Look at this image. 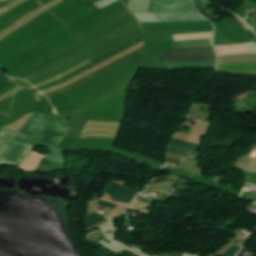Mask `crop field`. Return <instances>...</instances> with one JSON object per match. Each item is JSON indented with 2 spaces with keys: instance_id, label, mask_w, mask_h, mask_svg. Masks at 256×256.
I'll return each mask as SVG.
<instances>
[{
  "instance_id": "crop-field-16",
  "label": "crop field",
  "mask_w": 256,
  "mask_h": 256,
  "mask_svg": "<svg viewBox=\"0 0 256 256\" xmlns=\"http://www.w3.org/2000/svg\"><path fill=\"white\" fill-rule=\"evenodd\" d=\"M8 78L0 74V83L4 82Z\"/></svg>"
},
{
  "instance_id": "crop-field-2",
  "label": "crop field",
  "mask_w": 256,
  "mask_h": 256,
  "mask_svg": "<svg viewBox=\"0 0 256 256\" xmlns=\"http://www.w3.org/2000/svg\"><path fill=\"white\" fill-rule=\"evenodd\" d=\"M17 132L3 127L0 129V165L21 167L35 149L34 146L11 141Z\"/></svg>"
},
{
  "instance_id": "crop-field-14",
  "label": "crop field",
  "mask_w": 256,
  "mask_h": 256,
  "mask_svg": "<svg viewBox=\"0 0 256 256\" xmlns=\"http://www.w3.org/2000/svg\"><path fill=\"white\" fill-rule=\"evenodd\" d=\"M12 82H14V81L10 78V79H8L7 81H5L4 83H2V84L0 85V91H1L2 89L6 88L8 85H10Z\"/></svg>"
},
{
  "instance_id": "crop-field-6",
  "label": "crop field",
  "mask_w": 256,
  "mask_h": 256,
  "mask_svg": "<svg viewBox=\"0 0 256 256\" xmlns=\"http://www.w3.org/2000/svg\"><path fill=\"white\" fill-rule=\"evenodd\" d=\"M160 21H207L200 14H157Z\"/></svg>"
},
{
  "instance_id": "crop-field-4",
  "label": "crop field",
  "mask_w": 256,
  "mask_h": 256,
  "mask_svg": "<svg viewBox=\"0 0 256 256\" xmlns=\"http://www.w3.org/2000/svg\"><path fill=\"white\" fill-rule=\"evenodd\" d=\"M148 12L198 13L189 0H152Z\"/></svg>"
},
{
  "instance_id": "crop-field-11",
  "label": "crop field",
  "mask_w": 256,
  "mask_h": 256,
  "mask_svg": "<svg viewBox=\"0 0 256 256\" xmlns=\"http://www.w3.org/2000/svg\"><path fill=\"white\" fill-rule=\"evenodd\" d=\"M238 167L250 171L255 172L256 171V160L242 157L240 163L238 164Z\"/></svg>"
},
{
  "instance_id": "crop-field-7",
  "label": "crop field",
  "mask_w": 256,
  "mask_h": 256,
  "mask_svg": "<svg viewBox=\"0 0 256 256\" xmlns=\"http://www.w3.org/2000/svg\"><path fill=\"white\" fill-rule=\"evenodd\" d=\"M217 28L223 29L226 32L234 35V36H240L243 38H246L248 40H251L250 37L247 35V33L243 30L241 26L233 27L229 18L215 23ZM252 41V40H251Z\"/></svg>"
},
{
  "instance_id": "crop-field-15",
  "label": "crop field",
  "mask_w": 256,
  "mask_h": 256,
  "mask_svg": "<svg viewBox=\"0 0 256 256\" xmlns=\"http://www.w3.org/2000/svg\"><path fill=\"white\" fill-rule=\"evenodd\" d=\"M99 205H103V206H106V207H109V208H115V204H111V203H108V202H105V201H99V203H98Z\"/></svg>"
},
{
  "instance_id": "crop-field-1",
  "label": "crop field",
  "mask_w": 256,
  "mask_h": 256,
  "mask_svg": "<svg viewBox=\"0 0 256 256\" xmlns=\"http://www.w3.org/2000/svg\"><path fill=\"white\" fill-rule=\"evenodd\" d=\"M66 133V123L59 115L37 112L13 140L24 144L45 146L50 153L44 159L65 162L64 155L58 146Z\"/></svg>"
},
{
  "instance_id": "crop-field-10",
  "label": "crop field",
  "mask_w": 256,
  "mask_h": 256,
  "mask_svg": "<svg viewBox=\"0 0 256 256\" xmlns=\"http://www.w3.org/2000/svg\"><path fill=\"white\" fill-rule=\"evenodd\" d=\"M212 45V39L174 42V48Z\"/></svg>"
},
{
  "instance_id": "crop-field-8",
  "label": "crop field",
  "mask_w": 256,
  "mask_h": 256,
  "mask_svg": "<svg viewBox=\"0 0 256 256\" xmlns=\"http://www.w3.org/2000/svg\"><path fill=\"white\" fill-rule=\"evenodd\" d=\"M243 43H249V42L240 38L232 37L227 33L216 29L215 45H234V44H243Z\"/></svg>"
},
{
  "instance_id": "crop-field-5",
  "label": "crop field",
  "mask_w": 256,
  "mask_h": 256,
  "mask_svg": "<svg viewBox=\"0 0 256 256\" xmlns=\"http://www.w3.org/2000/svg\"><path fill=\"white\" fill-rule=\"evenodd\" d=\"M105 193L113 194L114 200L122 201L129 203L130 200L135 196L137 191L132 189L126 188L124 186L118 185L110 181L106 189L104 190Z\"/></svg>"
},
{
  "instance_id": "crop-field-9",
  "label": "crop field",
  "mask_w": 256,
  "mask_h": 256,
  "mask_svg": "<svg viewBox=\"0 0 256 256\" xmlns=\"http://www.w3.org/2000/svg\"><path fill=\"white\" fill-rule=\"evenodd\" d=\"M184 149L194 151L200 149V145L185 142L179 139H173L168 152L182 155Z\"/></svg>"
},
{
  "instance_id": "crop-field-3",
  "label": "crop field",
  "mask_w": 256,
  "mask_h": 256,
  "mask_svg": "<svg viewBox=\"0 0 256 256\" xmlns=\"http://www.w3.org/2000/svg\"><path fill=\"white\" fill-rule=\"evenodd\" d=\"M167 58L157 59L158 62L188 61V60H215L212 47L197 49H175L166 52Z\"/></svg>"
},
{
  "instance_id": "crop-field-17",
  "label": "crop field",
  "mask_w": 256,
  "mask_h": 256,
  "mask_svg": "<svg viewBox=\"0 0 256 256\" xmlns=\"http://www.w3.org/2000/svg\"><path fill=\"white\" fill-rule=\"evenodd\" d=\"M8 116L0 114V121L4 120L5 118H7Z\"/></svg>"
},
{
  "instance_id": "crop-field-13",
  "label": "crop field",
  "mask_w": 256,
  "mask_h": 256,
  "mask_svg": "<svg viewBox=\"0 0 256 256\" xmlns=\"http://www.w3.org/2000/svg\"><path fill=\"white\" fill-rule=\"evenodd\" d=\"M238 250H239L238 247L232 246V248L227 253H225L223 256H235Z\"/></svg>"
},
{
  "instance_id": "crop-field-12",
  "label": "crop field",
  "mask_w": 256,
  "mask_h": 256,
  "mask_svg": "<svg viewBox=\"0 0 256 256\" xmlns=\"http://www.w3.org/2000/svg\"><path fill=\"white\" fill-rule=\"evenodd\" d=\"M104 220L106 219L103 216L95 212L85 218L86 228L88 229Z\"/></svg>"
}]
</instances>
